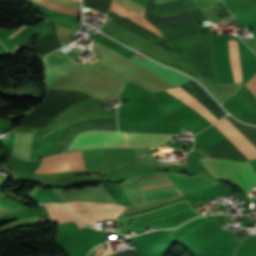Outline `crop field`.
Segmentation results:
<instances>
[{"instance_id":"1","label":"crop field","mask_w":256,"mask_h":256,"mask_svg":"<svg viewBox=\"0 0 256 256\" xmlns=\"http://www.w3.org/2000/svg\"><path fill=\"white\" fill-rule=\"evenodd\" d=\"M203 166L216 178L230 181L243 193L256 186V174L249 163H236L224 160L199 159Z\"/></svg>"},{"instance_id":"2","label":"crop field","mask_w":256,"mask_h":256,"mask_svg":"<svg viewBox=\"0 0 256 256\" xmlns=\"http://www.w3.org/2000/svg\"><path fill=\"white\" fill-rule=\"evenodd\" d=\"M126 148V133L86 132L79 135L68 149Z\"/></svg>"},{"instance_id":"3","label":"crop field","mask_w":256,"mask_h":256,"mask_svg":"<svg viewBox=\"0 0 256 256\" xmlns=\"http://www.w3.org/2000/svg\"><path fill=\"white\" fill-rule=\"evenodd\" d=\"M168 176L172 180V182L175 184V186L178 188V190L181 194L182 193L185 194L187 192H195L197 190L205 189V188L211 187L213 185H216V184H214L210 181H207L199 176L183 177V176H176V175H170V174H168ZM178 190L174 189V190L144 194V195H142L143 202H144V204H147V203L155 201V200L180 195Z\"/></svg>"},{"instance_id":"4","label":"crop field","mask_w":256,"mask_h":256,"mask_svg":"<svg viewBox=\"0 0 256 256\" xmlns=\"http://www.w3.org/2000/svg\"><path fill=\"white\" fill-rule=\"evenodd\" d=\"M118 3H120L121 5L129 8L130 10L136 12L137 14L141 15L144 17L145 14V8L139 6L138 4L134 3L131 0H114ZM113 1L112 7L110 12L128 20L129 22L147 30L148 32L162 38L163 36L161 35V33L158 31L157 28H155L153 25H151L148 21H146L143 17L137 15L136 13L128 10L127 8L121 6L120 4L116 3ZM165 40V39H164Z\"/></svg>"},{"instance_id":"5","label":"crop field","mask_w":256,"mask_h":256,"mask_svg":"<svg viewBox=\"0 0 256 256\" xmlns=\"http://www.w3.org/2000/svg\"><path fill=\"white\" fill-rule=\"evenodd\" d=\"M85 169L81 151L42 159L35 173Z\"/></svg>"},{"instance_id":"6","label":"crop field","mask_w":256,"mask_h":256,"mask_svg":"<svg viewBox=\"0 0 256 256\" xmlns=\"http://www.w3.org/2000/svg\"><path fill=\"white\" fill-rule=\"evenodd\" d=\"M169 135L127 133V148H159Z\"/></svg>"},{"instance_id":"7","label":"crop field","mask_w":256,"mask_h":256,"mask_svg":"<svg viewBox=\"0 0 256 256\" xmlns=\"http://www.w3.org/2000/svg\"><path fill=\"white\" fill-rule=\"evenodd\" d=\"M33 133L14 132L11 153L29 159Z\"/></svg>"},{"instance_id":"8","label":"crop field","mask_w":256,"mask_h":256,"mask_svg":"<svg viewBox=\"0 0 256 256\" xmlns=\"http://www.w3.org/2000/svg\"><path fill=\"white\" fill-rule=\"evenodd\" d=\"M47 210L50 213L51 220L53 223H63V222H69L74 221L75 224L82 228V226L79 221L71 214V212L64 206L59 204H45Z\"/></svg>"},{"instance_id":"9","label":"crop field","mask_w":256,"mask_h":256,"mask_svg":"<svg viewBox=\"0 0 256 256\" xmlns=\"http://www.w3.org/2000/svg\"><path fill=\"white\" fill-rule=\"evenodd\" d=\"M173 94L174 96L178 97L197 111H199L201 114H203L207 119H209L212 123L218 121L216 117L209 112L204 106H202L199 102H197L194 98H192L188 93H186L183 89L180 87L173 88L166 90ZM198 112V113H199Z\"/></svg>"},{"instance_id":"10","label":"crop field","mask_w":256,"mask_h":256,"mask_svg":"<svg viewBox=\"0 0 256 256\" xmlns=\"http://www.w3.org/2000/svg\"><path fill=\"white\" fill-rule=\"evenodd\" d=\"M79 54H81V52L72 51L65 55L56 50L55 52L45 57L46 67L76 65L77 63L73 62V59L76 58Z\"/></svg>"},{"instance_id":"11","label":"crop field","mask_w":256,"mask_h":256,"mask_svg":"<svg viewBox=\"0 0 256 256\" xmlns=\"http://www.w3.org/2000/svg\"><path fill=\"white\" fill-rule=\"evenodd\" d=\"M229 48V60L235 82H242L241 65L239 59L237 40H227Z\"/></svg>"},{"instance_id":"12","label":"crop field","mask_w":256,"mask_h":256,"mask_svg":"<svg viewBox=\"0 0 256 256\" xmlns=\"http://www.w3.org/2000/svg\"><path fill=\"white\" fill-rule=\"evenodd\" d=\"M49 9H52V10H57V11H61L63 13H71V14H75V15H78V12L77 11H74V10H71V9H68V8H65V7H61V6H57V5H54L50 2H47V1H44V0H37L35 1Z\"/></svg>"},{"instance_id":"13","label":"crop field","mask_w":256,"mask_h":256,"mask_svg":"<svg viewBox=\"0 0 256 256\" xmlns=\"http://www.w3.org/2000/svg\"><path fill=\"white\" fill-rule=\"evenodd\" d=\"M0 205L10 212L23 209L6 198H0Z\"/></svg>"},{"instance_id":"14","label":"crop field","mask_w":256,"mask_h":256,"mask_svg":"<svg viewBox=\"0 0 256 256\" xmlns=\"http://www.w3.org/2000/svg\"><path fill=\"white\" fill-rule=\"evenodd\" d=\"M248 92H250L256 98V75L244 86Z\"/></svg>"},{"instance_id":"15","label":"crop field","mask_w":256,"mask_h":256,"mask_svg":"<svg viewBox=\"0 0 256 256\" xmlns=\"http://www.w3.org/2000/svg\"><path fill=\"white\" fill-rule=\"evenodd\" d=\"M105 71L102 68H95V69H83V70H71V71H67L71 74H78V73H90V72H102Z\"/></svg>"},{"instance_id":"16","label":"crop field","mask_w":256,"mask_h":256,"mask_svg":"<svg viewBox=\"0 0 256 256\" xmlns=\"http://www.w3.org/2000/svg\"><path fill=\"white\" fill-rule=\"evenodd\" d=\"M244 42L256 53V37L244 40Z\"/></svg>"},{"instance_id":"17","label":"crop field","mask_w":256,"mask_h":256,"mask_svg":"<svg viewBox=\"0 0 256 256\" xmlns=\"http://www.w3.org/2000/svg\"><path fill=\"white\" fill-rule=\"evenodd\" d=\"M22 29H24V27L23 28H21L19 31H17L15 34H13L11 37H9L10 39L12 38V37H14L17 33H19Z\"/></svg>"},{"instance_id":"18","label":"crop field","mask_w":256,"mask_h":256,"mask_svg":"<svg viewBox=\"0 0 256 256\" xmlns=\"http://www.w3.org/2000/svg\"><path fill=\"white\" fill-rule=\"evenodd\" d=\"M89 224V223H88Z\"/></svg>"}]
</instances>
